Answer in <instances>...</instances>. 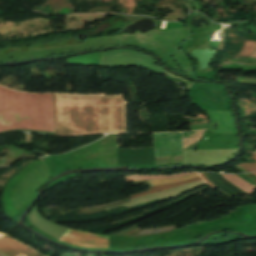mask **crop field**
I'll list each match as a JSON object with an SVG mask.
<instances>
[{
  "label": "crop field",
  "instance_id": "crop-field-1",
  "mask_svg": "<svg viewBox=\"0 0 256 256\" xmlns=\"http://www.w3.org/2000/svg\"><path fill=\"white\" fill-rule=\"evenodd\" d=\"M55 134L125 132L121 96L54 94Z\"/></svg>",
  "mask_w": 256,
  "mask_h": 256
},
{
  "label": "crop field",
  "instance_id": "crop-field-12",
  "mask_svg": "<svg viewBox=\"0 0 256 256\" xmlns=\"http://www.w3.org/2000/svg\"><path fill=\"white\" fill-rule=\"evenodd\" d=\"M251 57H255V58H256V49H255V51L253 52V54L251 55Z\"/></svg>",
  "mask_w": 256,
  "mask_h": 256
},
{
  "label": "crop field",
  "instance_id": "crop-field-3",
  "mask_svg": "<svg viewBox=\"0 0 256 256\" xmlns=\"http://www.w3.org/2000/svg\"><path fill=\"white\" fill-rule=\"evenodd\" d=\"M60 240L85 247L108 248V236L67 229Z\"/></svg>",
  "mask_w": 256,
  "mask_h": 256
},
{
  "label": "crop field",
  "instance_id": "crop-field-5",
  "mask_svg": "<svg viewBox=\"0 0 256 256\" xmlns=\"http://www.w3.org/2000/svg\"><path fill=\"white\" fill-rule=\"evenodd\" d=\"M197 180H201V178L198 177V178H194V179H190V180H186V181H182V182H178V183H172V184H167V185L151 187L147 190L148 192L134 194V195H131L130 198L140 196V195L150 194V193H154V192H158V191H162V190H166V189H170V188L177 187V186H180V185H183V184H186L189 182L197 181Z\"/></svg>",
  "mask_w": 256,
  "mask_h": 256
},
{
  "label": "crop field",
  "instance_id": "crop-field-13",
  "mask_svg": "<svg viewBox=\"0 0 256 256\" xmlns=\"http://www.w3.org/2000/svg\"><path fill=\"white\" fill-rule=\"evenodd\" d=\"M252 174L256 176V173H252Z\"/></svg>",
  "mask_w": 256,
  "mask_h": 256
},
{
  "label": "crop field",
  "instance_id": "crop-field-8",
  "mask_svg": "<svg viewBox=\"0 0 256 256\" xmlns=\"http://www.w3.org/2000/svg\"><path fill=\"white\" fill-rule=\"evenodd\" d=\"M191 173H184V174H178V175H172V176H132L126 178V183L130 181H138V180H146V179H159V178H174L179 176L188 175Z\"/></svg>",
  "mask_w": 256,
  "mask_h": 256
},
{
  "label": "crop field",
  "instance_id": "crop-field-11",
  "mask_svg": "<svg viewBox=\"0 0 256 256\" xmlns=\"http://www.w3.org/2000/svg\"><path fill=\"white\" fill-rule=\"evenodd\" d=\"M200 175L205 180V182L208 183V185L211 186V188H214V186L207 181L206 177L202 173H200Z\"/></svg>",
  "mask_w": 256,
  "mask_h": 256
},
{
  "label": "crop field",
  "instance_id": "crop-field-6",
  "mask_svg": "<svg viewBox=\"0 0 256 256\" xmlns=\"http://www.w3.org/2000/svg\"><path fill=\"white\" fill-rule=\"evenodd\" d=\"M227 180H229L231 183H233L234 185H236L237 187H239L240 189L244 190L247 193H252L253 189H255L256 187L246 183L244 180H242L241 178L235 176V175H224L222 174Z\"/></svg>",
  "mask_w": 256,
  "mask_h": 256
},
{
  "label": "crop field",
  "instance_id": "crop-field-7",
  "mask_svg": "<svg viewBox=\"0 0 256 256\" xmlns=\"http://www.w3.org/2000/svg\"><path fill=\"white\" fill-rule=\"evenodd\" d=\"M198 176L199 175L197 173V174H192V175H188V176H184V177H180V178H174V179L148 180V183L150 184V186H156V185H161V184L178 182V181H182V180H186V179H190V178H194V177H198Z\"/></svg>",
  "mask_w": 256,
  "mask_h": 256
},
{
  "label": "crop field",
  "instance_id": "crop-field-9",
  "mask_svg": "<svg viewBox=\"0 0 256 256\" xmlns=\"http://www.w3.org/2000/svg\"><path fill=\"white\" fill-rule=\"evenodd\" d=\"M256 48V42L246 41L243 49L238 54L239 57H249L253 50Z\"/></svg>",
  "mask_w": 256,
  "mask_h": 256
},
{
  "label": "crop field",
  "instance_id": "crop-field-2",
  "mask_svg": "<svg viewBox=\"0 0 256 256\" xmlns=\"http://www.w3.org/2000/svg\"><path fill=\"white\" fill-rule=\"evenodd\" d=\"M53 94H27L0 87V131L54 132Z\"/></svg>",
  "mask_w": 256,
  "mask_h": 256
},
{
  "label": "crop field",
  "instance_id": "crop-field-10",
  "mask_svg": "<svg viewBox=\"0 0 256 256\" xmlns=\"http://www.w3.org/2000/svg\"><path fill=\"white\" fill-rule=\"evenodd\" d=\"M251 159L256 161V154L253 153ZM237 166H239L249 172L256 171V163H254V164H239Z\"/></svg>",
  "mask_w": 256,
  "mask_h": 256
},
{
  "label": "crop field",
  "instance_id": "crop-field-4",
  "mask_svg": "<svg viewBox=\"0 0 256 256\" xmlns=\"http://www.w3.org/2000/svg\"><path fill=\"white\" fill-rule=\"evenodd\" d=\"M0 251L8 256H19L22 253L26 256H42L9 237L0 238Z\"/></svg>",
  "mask_w": 256,
  "mask_h": 256
}]
</instances>
